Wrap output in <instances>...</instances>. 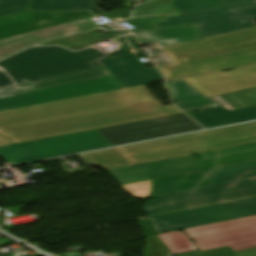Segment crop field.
<instances>
[{"instance_id": "obj_43", "label": "crop field", "mask_w": 256, "mask_h": 256, "mask_svg": "<svg viewBox=\"0 0 256 256\" xmlns=\"http://www.w3.org/2000/svg\"><path fill=\"white\" fill-rule=\"evenodd\" d=\"M5 182V180H2V181H0V183H4ZM1 190V189H0Z\"/></svg>"}, {"instance_id": "obj_14", "label": "crop field", "mask_w": 256, "mask_h": 256, "mask_svg": "<svg viewBox=\"0 0 256 256\" xmlns=\"http://www.w3.org/2000/svg\"><path fill=\"white\" fill-rule=\"evenodd\" d=\"M206 97L256 86V65L183 79Z\"/></svg>"}, {"instance_id": "obj_21", "label": "crop field", "mask_w": 256, "mask_h": 256, "mask_svg": "<svg viewBox=\"0 0 256 256\" xmlns=\"http://www.w3.org/2000/svg\"><path fill=\"white\" fill-rule=\"evenodd\" d=\"M213 186L256 178V161L205 170Z\"/></svg>"}, {"instance_id": "obj_44", "label": "crop field", "mask_w": 256, "mask_h": 256, "mask_svg": "<svg viewBox=\"0 0 256 256\" xmlns=\"http://www.w3.org/2000/svg\"><path fill=\"white\" fill-rule=\"evenodd\" d=\"M144 1L146 2V1H150V0H144Z\"/></svg>"}, {"instance_id": "obj_19", "label": "crop field", "mask_w": 256, "mask_h": 256, "mask_svg": "<svg viewBox=\"0 0 256 256\" xmlns=\"http://www.w3.org/2000/svg\"><path fill=\"white\" fill-rule=\"evenodd\" d=\"M209 186L204 171L167 177L156 180L153 198Z\"/></svg>"}, {"instance_id": "obj_13", "label": "crop field", "mask_w": 256, "mask_h": 256, "mask_svg": "<svg viewBox=\"0 0 256 256\" xmlns=\"http://www.w3.org/2000/svg\"><path fill=\"white\" fill-rule=\"evenodd\" d=\"M90 16L89 11H37L0 17V39Z\"/></svg>"}, {"instance_id": "obj_5", "label": "crop field", "mask_w": 256, "mask_h": 256, "mask_svg": "<svg viewBox=\"0 0 256 256\" xmlns=\"http://www.w3.org/2000/svg\"><path fill=\"white\" fill-rule=\"evenodd\" d=\"M110 145L95 131L53 137L37 142L1 147L0 157L9 165L70 155Z\"/></svg>"}, {"instance_id": "obj_8", "label": "crop field", "mask_w": 256, "mask_h": 256, "mask_svg": "<svg viewBox=\"0 0 256 256\" xmlns=\"http://www.w3.org/2000/svg\"><path fill=\"white\" fill-rule=\"evenodd\" d=\"M124 88L113 75L0 97V112Z\"/></svg>"}, {"instance_id": "obj_7", "label": "crop field", "mask_w": 256, "mask_h": 256, "mask_svg": "<svg viewBox=\"0 0 256 256\" xmlns=\"http://www.w3.org/2000/svg\"><path fill=\"white\" fill-rule=\"evenodd\" d=\"M252 195H256V179L159 197L144 206L143 209L147 216H150Z\"/></svg>"}, {"instance_id": "obj_39", "label": "crop field", "mask_w": 256, "mask_h": 256, "mask_svg": "<svg viewBox=\"0 0 256 256\" xmlns=\"http://www.w3.org/2000/svg\"><path fill=\"white\" fill-rule=\"evenodd\" d=\"M237 256H256V248L236 252Z\"/></svg>"}, {"instance_id": "obj_20", "label": "crop field", "mask_w": 256, "mask_h": 256, "mask_svg": "<svg viewBox=\"0 0 256 256\" xmlns=\"http://www.w3.org/2000/svg\"><path fill=\"white\" fill-rule=\"evenodd\" d=\"M127 111H138L162 106L145 86L109 92Z\"/></svg>"}, {"instance_id": "obj_25", "label": "crop field", "mask_w": 256, "mask_h": 256, "mask_svg": "<svg viewBox=\"0 0 256 256\" xmlns=\"http://www.w3.org/2000/svg\"><path fill=\"white\" fill-rule=\"evenodd\" d=\"M83 156L92 166L101 167L103 170L131 165L114 149L84 154Z\"/></svg>"}, {"instance_id": "obj_34", "label": "crop field", "mask_w": 256, "mask_h": 256, "mask_svg": "<svg viewBox=\"0 0 256 256\" xmlns=\"http://www.w3.org/2000/svg\"><path fill=\"white\" fill-rule=\"evenodd\" d=\"M150 188L151 181L122 187V189H124L135 199L149 196Z\"/></svg>"}, {"instance_id": "obj_29", "label": "crop field", "mask_w": 256, "mask_h": 256, "mask_svg": "<svg viewBox=\"0 0 256 256\" xmlns=\"http://www.w3.org/2000/svg\"><path fill=\"white\" fill-rule=\"evenodd\" d=\"M87 10L75 0H32L27 11Z\"/></svg>"}, {"instance_id": "obj_24", "label": "crop field", "mask_w": 256, "mask_h": 256, "mask_svg": "<svg viewBox=\"0 0 256 256\" xmlns=\"http://www.w3.org/2000/svg\"><path fill=\"white\" fill-rule=\"evenodd\" d=\"M154 164L155 162L111 169L107 172L116 179L120 186H123L152 180Z\"/></svg>"}, {"instance_id": "obj_38", "label": "crop field", "mask_w": 256, "mask_h": 256, "mask_svg": "<svg viewBox=\"0 0 256 256\" xmlns=\"http://www.w3.org/2000/svg\"><path fill=\"white\" fill-rule=\"evenodd\" d=\"M140 41V43L142 44V45H146V44H150L149 42H148V40H146V39H141V40H139ZM172 43H169V42H163V41H155L153 44H151V45H153L154 47H156V48H162V47H164V46H167V45H171Z\"/></svg>"}, {"instance_id": "obj_42", "label": "crop field", "mask_w": 256, "mask_h": 256, "mask_svg": "<svg viewBox=\"0 0 256 256\" xmlns=\"http://www.w3.org/2000/svg\"><path fill=\"white\" fill-rule=\"evenodd\" d=\"M8 244H14V242L4 238V239H0V246L2 245H8Z\"/></svg>"}, {"instance_id": "obj_35", "label": "crop field", "mask_w": 256, "mask_h": 256, "mask_svg": "<svg viewBox=\"0 0 256 256\" xmlns=\"http://www.w3.org/2000/svg\"><path fill=\"white\" fill-rule=\"evenodd\" d=\"M176 105L185 112L218 106V105H216L215 103H213L212 101H210L208 99L186 102V103H180V104H176Z\"/></svg>"}, {"instance_id": "obj_12", "label": "crop field", "mask_w": 256, "mask_h": 256, "mask_svg": "<svg viewBox=\"0 0 256 256\" xmlns=\"http://www.w3.org/2000/svg\"><path fill=\"white\" fill-rule=\"evenodd\" d=\"M157 162L155 179L256 160V143Z\"/></svg>"}, {"instance_id": "obj_28", "label": "crop field", "mask_w": 256, "mask_h": 256, "mask_svg": "<svg viewBox=\"0 0 256 256\" xmlns=\"http://www.w3.org/2000/svg\"><path fill=\"white\" fill-rule=\"evenodd\" d=\"M158 237L172 252V254L193 251L197 249L183 232H171L158 235Z\"/></svg>"}, {"instance_id": "obj_45", "label": "crop field", "mask_w": 256, "mask_h": 256, "mask_svg": "<svg viewBox=\"0 0 256 256\" xmlns=\"http://www.w3.org/2000/svg\"><path fill=\"white\" fill-rule=\"evenodd\" d=\"M0 225H2V224H0Z\"/></svg>"}, {"instance_id": "obj_32", "label": "crop field", "mask_w": 256, "mask_h": 256, "mask_svg": "<svg viewBox=\"0 0 256 256\" xmlns=\"http://www.w3.org/2000/svg\"><path fill=\"white\" fill-rule=\"evenodd\" d=\"M172 255L160 239L154 235L147 237L144 256H170Z\"/></svg>"}, {"instance_id": "obj_15", "label": "crop field", "mask_w": 256, "mask_h": 256, "mask_svg": "<svg viewBox=\"0 0 256 256\" xmlns=\"http://www.w3.org/2000/svg\"><path fill=\"white\" fill-rule=\"evenodd\" d=\"M96 27L98 25L88 18L3 39L0 40V59L31 45L60 36L87 31Z\"/></svg>"}, {"instance_id": "obj_2", "label": "crop field", "mask_w": 256, "mask_h": 256, "mask_svg": "<svg viewBox=\"0 0 256 256\" xmlns=\"http://www.w3.org/2000/svg\"><path fill=\"white\" fill-rule=\"evenodd\" d=\"M117 52L85 56L66 48H33L0 62V88L104 68L99 60L135 53L122 39Z\"/></svg>"}, {"instance_id": "obj_36", "label": "crop field", "mask_w": 256, "mask_h": 256, "mask_svg": "<svg viewBox=\"0 0 256 256\" xmlns=\"http://www.w3.org/2000/svg\"><path fill=\"white\" fill-rule=\"evenodd\" d=\"M183 256H236V255L235 253L232 252L230 247H226V248L194 253L189 255H183Z\"/></svg>"}, {"instance_id": "obj_37", "label": "crop field", "mask_w": 256, "mask_h": 256, "mask_svg": "<svg viewBox=\"0 0 256 256\" xmlns=\"http://www.w3.org/2000/svg\"><path fill=\"white\" fill-rule=\"evenodd\" d=\"M80 4H82L85 8H87L92 14L97 15L102 12L97 9L94 5L100 4L99 0H76Z\"/></svg>"}, {"instance_id": "obj_22", "label": "crop field", "mask_w": 256, "mask_h": 256, "mask_svg": "<svg viewBox=\"0 0 256 256\" xmlns=\"http://www.w3.org/2000/svg\"><path fill=\"white\" fill-rule=\"evenodd\" d=\"M110 74L111 73L109 72V70L107 68H104V69L94 70V71H90V72H85V73L60 77V78H56V79L36 82V83H33L30 86H26V87L15 86V87L0 89V96L34 90V89H40V88H45V87H50V86H55V85H60V84H65V83H70V82L110 75Z\"/></svg>"}, {"instance_id": "obj_17", "label": "crop field", "mask_w": 256, "mask_h": 256, "mask_svg": "<svg viewBox=\"0 0 256 256\" xmlns=\"http://www.w3.org/2000/svg\"><path fill=\"white\" fill-rule=\"evenodd\" d=\"M102 63L125 88L163 81L155 68L145 69L134 54L103 60Z\"/></svg>"}, {"instance_id": "obj_11", "label": "crop field", "mask_w": 256, "mask_h": 256, "mask_svg": "<svg viewBox=\"0 0 256 256\" xmlns=\"http://www.w3.org/2000/svg\"><path fill=\"white\" fill-rule=\"evenodd\" d=\"M203 129L185 114L96 130L113 146Z\"/></svg>"}, {"instance_id": "obj_27", "label": "crop field", "mask_w": 256, "mask_h": 256, "mask_svg": "<svg viewBox=\"0 0 256 256\" xmlns=\"http://www.w3.org/2000/svg\"><path fill=\"white\" fill-rule=\"evenodd\" d=\"M211 99L217 101L228 110H235L237 108L256 104V88Z\"/></svg>"}, {"instance_id": "obj_4", "label": "crop field", "mask_w": 256, "mask_h": 256, "mask_svg": "<svg viewBox=\"0 0 256 256\" xmlns=\"http://www.w3.org/2000/svg\"><path fill=\"white\" fill-rule=\"evenodd\" d=\"M256 142V122L203 131L117 149L133 164Z\"/></svg>"}, {"instance_id": "obj_6", "label": "crop field", "mask_w": 256, "mask_h": 256, "mask_svg": "<svg viewBox=\"0 0 256 256\" xmlns=\"http://www.w3.org/2000/svg\"><path fill=\"white\" fill-rule=\"evenodd\" d=\"M227 53L158 66L166 79L256 64V38L221 45Z\"/></svg>"}, {"instance_id": "obj_30", "label": "crop field", "mask_w": 256, "mask_h": 256, "mask_svg": "<svg viewBox=\"0 0 256 256\" xmlns=\"http://www.w3.org/2000/svg\"><path fill=\"white\" fill-rule=\"evenodd\" d=\"M167 86L171 92L172 100L176 103L205 98L181 80L170 82Z\"/></svg>"}, {"instance_id": "obj_26", "label": "crop field", "mask_w": 256, "mask_h": 256, "mask_svg": "<svg viewBox=\"0 0 256 256\" xmlns=\"http://www.w3.org/2000/svg\"><path fill=\"white\" fill-rule=\"evenodd\" d=\"M111 38H114V37L109 33L99 37L94 32L90 31L85 34L58 39V40L50 41L41 45L60 44L71 50H79Z\"/></svg>"}, {"instance_id": "obj_40", "label": "crop field", "mask_w": 256, "mask_h": 256, "mask_svg": "<svg viewBox=\"0 0 256 256\" xmlns=\"http://www.w3.org/2000/svg\"><path fill=\"white\" fill-rule=\"evenodd\" d=\"M10 139L0 135V146H4V145H10Z\"/></svg>"}, {"instance_id": "obj_10", "label": "crop field", "mask_w": 256, "mask_h": 256, "mask_svg": "<svg viewBox=\"0 0 256 256\" xmlns=\"http://www.w3.org/2000/svg\"><path fill=\"white\" fill-rule=\"evenodd\" d=\"M202 250L230 246L239 251L256 247V216L185 229Z\"/></svg>"}, {"instance_id": "obj_16", "label": "crop field", "mask_w": 256, "mask_h": 256, "mask_svg": "<svg viewBox=\"0 0 256 256\" xmlns=\"http://www.w3.org/2000/svg\"><path fill=\"white\" fill-rule=\"evenodd\" d=\"M256 37V28L232 34L216 36L208 39L197 40L177 46L164 47L162 50L173 61H182L183 58H195L206 55L224 53L219 44Z\"/></svg>"}, {"instance_id": "obj_31", "label": "crop field", "mask_w": 256, "mask_h": 256, "mask_svg": "<svg viewBox=\"0 0 256 256\" xmlns=\"http://www.w3.org/2000/svg\"><path fill=\"white\" fill-rule=\"evenodd\" d=\"M171 13V0H159L137 6L134 17Z\"/></svg>"}, {"instance_id": "obj_18", "label": "crop field", "mask_w": 256, "mask_h": 256, "mask_svg": "<svg viewBox=\"0 0 256 256\" xmlns=\"http://www.w3.org/2000/svg\"><path fill=\"white\" fill-rule=\"evenodd\" d=\"M205 128L256 120V105L236 111H228L224 107L198 111L189 115Z\"/></svg>"}, {"instance_id": "obj_3", "label": "crop field", "mask_w": 256, "mask_h": 256, "mask_svg": "<svg viewBox=\"0 0 256 256\" xmlns=\"http://www.w3.org/2000/svg\"><path fill=\"white\" fill-rule=\"evenodd\" d=\"M256 0H172L155 27L194 25L200 39L255 28Z\"/></svg>"}, {"instance_id": "obj_23", "label": "crop field", "mask_w": 256, "mask_h": 256, "mask_svg": "<svg viewBox=\"0 0 256 256\" xmlns=\"http://www.w3.org/2000/svg\"><path fill=\"white\" fill-rule=\"evenodd\" d=\"M195 27V26H194ZM193 26L156 28L157 31L134 32L138 39L164 40L172 43H185L199 39ZM151 35V36H148Z\"/></svg>"}, {"instance_id": "obj_9", "label": "crop field", "mask_w": 256, "mask_h": 256, "mask_svg": "<svg viewBox=\"0 0 256 256\" xmlns=\"http://www.w3.org/2000/svg\"><path fill=\"white\" fill-rule=\"evenodd\" d=\"M252 215H256V197L151 217L149 220L152 221L158 233H161Z\"/></svg>"}, {"instance_id": "obj_41", "label": "crop field", "mask_w": 256, "mask_h": 256, "mask_svg": "<svg viewBox=\"0 0 256 256\" xmlns=\"http://www.w3.org/2000/svg\"><path fill=\"white\" fill-rule=\"evenodd\" d=\"M127 42L131 45L132 48L139 46L138 42L136 41V39L134 37H132L131 39L127 40Z\"/></svg>"}, {"instance_id": "obj_33", "label": "crop field", "mask_w": 256, "mask_h": 256, "mask_svg": "<svg viewBox=\"0 0 256 256\" xmlns=\"http://www.w3.org/2000/svg\"><path fill=\"white\" fill-rule=\"evenodd\" d=\"M30 0H0V16L26 11Z\"/></svg>"}, {"instance_id": "obj_1", "label": "crop field", "mask_w": 256, "mask_h": 256, "mask_svg": "<svg viewBox=\"0 0 256 256\" xmlns=\"http://www.w3.org/2000/svg\"><path fill=\"white\" fill-rule=\"evenodd\" d=\"M181 113L175 106L127 113L108 93L0 113V134L13 143Z\"/></svg>"}]
</instances>
